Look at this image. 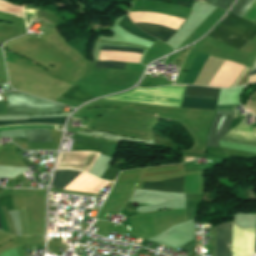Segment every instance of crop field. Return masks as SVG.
Listing matches in <instances>:
<instances>
[{"mask_svg":"<svg viewBox=\"0 0 256 256\" xmlns=\"http://www.w3.org/2000/svg\"><path fill=\"white\" fill-rule=\"evenodd\" d=\"M186 87V86H180ZM168 86L153 89H134L130 92L107 97L104 99L122 100L162 106L180 107L184 88Z\"/></svg>","mask_w":256,"mask_h":256,"instance_id":"8a807250","label":"crop field"},{"mask_svg":"<svg viewBox=\"0 0 256 256\" xmlns=\"http://www.w3.org/2000/svg\"><path fill=\"white\" fill-rule=\"evenodd\" d=\"M255 35L256 25L232 13H230L215 31L210 34V36L239 50H241Z\"/></svg>","mask_w":256,"mask_h":256,"instance_id":"ac0d7876","label":"crop field"},{"mask_svg":"<svg viewBox=\"0 0 256 256\" xmlns=\"http://www.w3.org/2000/svg\"><path fill=\"white\" fill-rule=\"evenodd\" d=\"M7 114L39 115L59 113L63 106L41 100L20 92L6 93Z\"/></svg>","mask_w":256,"mask_h":256,"instance_id":"34b2d1b8","label":"crop field"},{"mask_svg":"<svg viewBox=\"0 0 256 256\" xmlns=\"http://www.w3.org/2000/svg\"><path fill=\"white\" fill-rule=\"evenodd\" d=\"M99 149L91 147L81 142L75 143L73 152L91 157L96 159L99 154ZM73 152H66L60 153L57 167L58 169L63 168H75L79 170H83L88 172L89 168L91 167L94 159L73 153Z\"/></svg>","mask_w":256,"mask_h":256,"instance_id":"412701ff","label":"crop field"},{"mask_svg":"<svg viewBox=\"0 0 256 256\" xmlns=\"http://www.w3.org/2000/svg\"><path fill=\"white\" fill-rule=\"evenodd\" d=\"M220 89L187 86L184 96L217 99ZM184 97L181 107L215 110L217 100Z\"/></svg>","mask_w":256,"mask_h":256,"instance_id":"f4fd0767","label":"crop field"},{"mask_svg":"<svg viewBox=\"0 0 256 256\" xmlns=\"http://www.w3.org/2000/svg\"><path fill=\"white\" fill-rule=\"evenodd\" d=\"M233 224L216 226L215 256H232Z\"/></svg>","mask_w":256,"mask_h":256,"instance_id":"dd49c442","label":"crop field"},{"mask_svg":"<svg viewBox=\"0 0 256 256\" xmlns=\"http://www.w3.org/2000/svg\"><path fill=\"white\" fill-rule=\"evenodd\" d=\"M234 107H222L219 114L234 116ZM232 117L218 115L207 147L217 148L218 141L227 132Z\"/></svg>","mask_w":256,"mask_h":256,"instance_id":"e52e79f7","label":"crop field"},{"mask_svg":"<svg viewBox=\"0 0 256 256\" xmlns=\"http://www.w3.org/2000/svg\"><path fill=\"white\" fill-rule=\"evenodd\" d=\"M222 140L256 146V128L238 125Z\"/></svg>","mask_w":256,"mask_h":256,"instance_id":"d8731c3e","label":"crop field"},{"mask_svg":"<svg viewBox=\"0 0 256 256\" xmlns=\"http://www.w3.org/2000/svg\"><path fill=\"white\" fill-rule=\"evenodd\" d=\"M254 0H240L235 8L232 10V13L242 16V14L247 10ZM242 18L254 23L256 20V0L248 8V10L243 14Z\"/></svg>","mask_w":256,"mask_h":256,"instance_id":"5a996713","label":"crop field"},{"mask_svg":"<svg viewBox=\"0 0 256 256\" xmlns=\"http://www.w3.org/2000/svg\"><path fill=\"white\" fill-rule=\"evenodd\" d=\"M80 173L74 170H55L51 188L63 189Z\"/></svg>","mask_w":256,"mask_h":256,"instance_id":"3316defc","label":"crop field"},{"mask_svg":"<svg viewBox=\"0 0 256 256\" xmlns=\"http://www.w3.org/2000/svg\"><path fill=\"white\" fill-rule=\"evenodd\" d=\"M180 177L162 182H144L141 189L179 192Z\"/></svg>","mask_w":256,"mask_h":256,"instance_id":"28ad6ade","label":"crop field"},{"mask_svg":"<svg viewBox=\"0 0 256 256\" xmlns=\"http://www.w3.org/2000/svg\"><path fill=\"white\" fill-rule=\"evenodd\" d=\"M66 119L67 117L27 118V120H19V121H0V126L36 124V123L65 124Z\"/></svg>","mask_w":256,"mask_h":256,"instance_id":"d1516ede","label":"crop field"},{"mask_svg":"<svg viewBox=\"0 0 256 256\" xmlns=\"http://www.w3.org/2000/svg\"><path fill=\"white\" fill-rule=\"evenodd\" d=\"M136 26L144 30L146 33L164 42L174 33V30H170V29H166V28L154 26V25L136 24Z\"/></svg>","mask_w":256,"mask_h":256,"instance_id":"22f410ed","label":"crop field"},{"mask_svg":"<svg viewBox=\"0 0 256 256\" xmlns=\"http://www.w3.org/2000/svg\"><path fill=\"white\" fill-rule=\"evenodd\" d=\"M62 98L71 99L79 102H87L94 97L90 96L88 93H86L84 90L77 86H73L68 92H66Z\"/></svg>","mask_w":256,"mask_h":256,"instance_id":"cbeb9de0","label":"crop field"},{"mask_svg":"<svg viewBox=\"0 0 256 256\" xmlns=\"http://www.w3.org/2000/svg\"><path fill=\"white\" fill-rule=\"evenodd\" d=\"M24 131L28 142H51L47 130L26 129Z\"/></svg>","mask_w":256,"mask_h":256,"instance_id":"5142ce71","label":"crop field"},{"mask_svg":"<svg viewBox=\"0 0 256 256\" xmlns=\"http://www.w3.org/2000/svg\"><path fill=\"white\" fill-rule=\"evenodd\" d=\"M122 29H124L125 31L138 36L140 38L149 40L154 42L155 38L149 37L146 34H144L143 32H141L140 30H138L128 19V17H125L123 20L120 21L119 25ZM156 41V40H155Z\"/></svg>","mask_w":256,"mask_h":256,"instance_id":"d9b57169","label":"crop field"},{"mask_svg":"<svg viewBox=\"0 0 256 256\" xmlns=\"http://www.w3.org/2000/svg\"><path fill=\"white\" fill-rule=\"evenodd\" d=\"M131 64L122 62H108V71L127 73Z\"/></svg>","mask_w":256,"mask_h":256,"instance_id":"733c2abd","label":"crop field"},{"mask_svg":"<svg viewBox=\"0 0 256 256\" xmlns=\"http://www.w3.org/2000/svg\"><path fill=\"white\" fill-rule=\"evenodd\" d=\"M99 60H116L124 62H134L139 63L140 59L136 58H127V57H118V56H99Z\"/></svg>","mask_w":256,"mask_h":256,"instance_id":"4a817a6b","label":"crop field"},{"mask_svg":"<svg viewBox=\"0 0 256 256\" xmlns=\"http://www.w3.org/2000/svg\"><path fill=\"white\" fill-rule=\"evenodd\" d=\"M209 3L227 10L234 2V0H207Z\"/></svg>","mask_w":256,"mask_h":256,"instance_id":"bc2a9ffb","label":"crop field"},{"mask_svg":"<svg viewBox=\"0 0 256 256\" xmlns=\"http://www.w3.org/2000/svg\"><path fill=\"white\" fill-rule=\"evenodd\" d=\"M0 206H5L7 211L14 210L12 200H11V195L0 197Z\"/></svg>","mask_w":256,"mask_h":256,"instance_id":"214f88e0","label":"crop field"},{"mask_svg":"<svg viewBox=\"0 0 256 256\" xmlns=\"http://www.w3.org/2000/svg\"><path fill=\"white\" fill-rule=\"evenodd\" d=\"M0 113H4L3 102H0Z\"/></svg>","mask_w":256,"mask_h":256,"instance_id":"92a150f3","label":"crop field"},{"mask_svg":"<svg viewBox=\"0 0 256 256\" xmlns=\"http://www.w3.org/2000/svg\"><path fill=\"white\" fill-rule=\"evenodd\" d=\"M254 74H256V70L250 72V75H254ZM250 75H249V76H250Z\"/></svg>","mask_w":256,"mask_h":256,"instance_id":"dafd665d","label":"crop field"},{"mask_svg":"<svg viewBox=\"0 0 256 256\" xmlns=\"http://www.w3.org/2000/svg\"><path fill=\"white\" fill-rule=\"evenodd\" d=\"M0 229H2V228H1V224H0Z\"/></svg>","mask_w":256,"mask_h":256,"instance_id":"00972430","label":"crop field"}]
</instances>
